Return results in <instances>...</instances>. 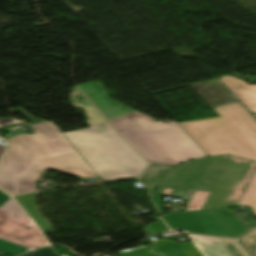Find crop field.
<instances>
[{"label":"crop field","mask_w":256,"mask_h":256,"mask_svg":"<svg viewBox=\"0 0 256 256\" xmlns=\"http://www.w3.org/2000/svg\"><path fill=\"white\" fill-rule=\"evenodd\" d=\"M79 87L151 163L175 166L207 156L175 121L155 122L109 99L99 82ZM130 112L135 114L129 115Z\"/></svg>","instance_id":"obj_1"},{"label":"crop field","mask_w":256,"mask_h":256,"mask_svg":"<svg viewBox=\"0 0 256 256\" xmlns=\"http://www.w3.org/2000/svg\"><path fill=\"white\" fill-rule=\"evenodd\" d=\"M7 141L0 188L11 195L36 191L35 182L50 168L79 177L96 175L67 138L35 143L24 134Z\"/></svg>","instance_id":"obj_2"},{"label":"crop field","mask_w":256,"mask_h":256,"mask_svg":"<svg viewBox=\"0 0 256 256\" xmlns=\"http://www.w3.org/2000/svg\"><path fill=\"white\" fill-rule=\"evenodd\" d=\"M71 102L86 110L91 128L64 134L96 174L106 183L138 178L148 162L118 134L77 86L72 91Z\"/></svg>","instance_id":"obj_3"},{"label":"crop field","mask_w":256,"mask_h":256,"mask_svg":"<svg viewBox=\"0 0 256 256\" xmlns=\"http://www.w3.org/2000/svg\"><path fill=\"white\" fill-rule=\"evenodd\" d=\"M221 117L178 123L208 156L256 162V121L239 103L214 108Z\"/></svg>","instance_id":"obj_4"},{"label":"crop field","mask_w":256,"mask_h":256,"mask_svg":"<svg viewBox=\"0 0 256 256\" xmlns=\"http://www.w3.org/2000/svg\"><path fill=\"white\" fill-rule=\"evenodd\" d=\"M255 166L230 156L211 157L182 213L233 207Z\"/></svg>","instance_id":"obj_5"},{"label":"crop field","mask_w":256,"mask_h":256,"mask_svg":"<svg viewBox=\"0 0 256 256\" xmlns=\"http://www.w3.org/2000/svg\"><path fill=\"white\" fill-rule=\"evenodd\" d=\"M188 237L192 243L179 244L173 239H163L155 245L165 256H246L231 239L192 234Z\"/></svg>","instance_id":"obj_6"},{"label":"crop field","mask_w":256,"mask_h":256,"mask_svg":"<svg viewBox=\"0 0 256 256\" xmlns=\"http://www.w3.org/2000/svg\"><path fill=\"white\" fill-rule=\"evenodd\" d=\"M0 237L29 248L48 244L13 199L0 208Z\"/></svg>","instance_id":"obj_7"},{"label":"crop field","mask_w":256,"mask_h":256,"mask_svg":"<svg viewBox=\"0 0 256 256\" xmlns=\"http://www.w3.org/2000/svg\"><path fill=\"white\" fill-rule=\"evenodd\" d=\"M210 157L188 161L176 166L163 184L160 193L189 199Z\"/></svg>","instance_id":"obj_8"},{"label":"crop field","mask_w":256,"mask_h":256,"mask_svg":"<svg viewBox=\"0 0 256 256\" xmlns=\"http://www.w3.org/2000/svg\"><path fill=\"white\" fill-rule=\"evenodd\" d=\"M163 218L172 229L181 228L189 232L234 237L214 210L169 215Z\"/></svg>","instance_id":"obj_9"},{"label":"crop field","mask_w":256,"mask_h":256,"mask_svg":"<svg viewBox=\"0 0 256 256\" xmlns=\"http://www.w3.org/2000/svg\"><path fill=\"white\" fill-rule=\"evenodd\" d=\"M220 80L252 113H256V85H248L245 81L232 76H224Z\"/></svg>","instance_id":"obj_10"},{"label":"crop field","mask_w":256,"mask_h":256,"mask_svg":"<svg viewBox=\"0 0 256 256\" xmlns=\"http://www.w3.org/2000/svg\"><path fill=\"white\" fill-rule=\"evenodd\" d=\"M16 198L44 233L51 232V224L37 211L38 207L34 203L35 197L33 194L18 196Z\"/></svg>","instance_id":"obj_11"},{"label":"crop field","mask_w":256,"mask_h":256,"mask_svg":"<svg viewBox=\"0 0 256 256\" xmlns=\"http://www.w3.org/2000/svg\"><path fill=\"white\" fill-rule=\"evenodd\" d=\"M36 134L32 137L35 142L64 138V134L50 121L31 126Z\"/></svg>","instance_id":"obj_12"},{"label":"crop field","mask_w":256,"mask_h":256,"mask_svg":"<svg viewBox=\"0 0 256 256\" xmlns=\"http://www.w3.org/2000/svg\"><path fill=\"white\" fill-rule=\"evenodd\" d=\"M236 238L240 237L249 228L239 221L227 208L215 210Z\"/></svg>","instance_id":"obj_13"},{"label":"crop field","mask_w":256,"mask_h":256,"mask_svg":"<svg viewBox=\"0 0 256 256\" xmlns=\"http://www.w3.org/2000/svg\"><path fill=\"white\" fill-rule=\"evenodd\" d=\"M172 169L171 166L151 164L140 180L161 186Z\"/></svg>","instance_id":"obj_14"},{"label":"crop field","mask_w":256,"mask_h":256,"mask_svg":"<svg viewBox=\"0 0 256 256\" xmlns=\"http://www.w3.org/2000/svg\"><path fill=\"white\" fill-rule=\"evenodd\" d=\"M238 205H243L253 209L256 215V172L241 197Z\"/></svg>","instance_id":"obj_15"},{"label":"crop field","mask_w":256,"mask_h":256,"mask_svg":"<svg viewBox=\"0 0 256 256\" xmlns=\"http://www.w3.org/2000/svg\"><path fill=\"white\" fill-rule=\"evenodd\" d=\"M252 256H256V229L240 239Z\"/></svg>","instance_id":"obj_16"},{"label":"crop field","mask_w":256,"mask_h":256,"mask_svg":"<svg viewBox=\"0 0 256 256\" xmlns=\"http://www.w3.org/2000/svg\"><path fill=\"white\" fill-rule=\"evenodd\" d=\"M29 249L20 247V246H16L4 241L0 240V252L6 253L8 255L14 256V255H18L21 254L23 252L28 251Z\"/></svg>","instance_id":"obj_17"},{"label":"crop field","mask_w":256,"mask_h":256,"mask_svg":"<svg viewBox=\"0 0 256 256\" xmlns=\"http://www.w3.org/2000/svg\"><path fill=\"white\" fill-rule=\"evenodd\" d=\"M21 256H60V255L54 253L49 247H47V248L31 251Z\"/></svg>","instance_id":"obj_18"},{"label":"crop field","mask_w":256,"mask_h":256,"mask_svg":"<svg viewBox=\"0 0 256 256\" xmlns=\"http://www.w3.org/2000/svg\"><path fill=\"white\" fill-rule=\"evenodd\" d=\"M4 148H5V146H0V157L2 155ZM10 199H11L10 196H8L4 192L0 191V207L3 206Z\"/></svg>","instance_id":"obj_19"},{"label":"crop field","mask_w":256,"mask_h":256,"mask_svg":"<svg viewBox=\"0 0 256 256\" xmlns=\"http://www.w3.org/2000/svg\"><path fill=\"white\" fill-rule=\"evenodd\" d=\"M17 111H19L23 116H25L29 121H31L33 124L43 122V120L36 119L32 116H30L26 111H24L21 107L16 108Z\"/></svg>","instance_id":"obj_20"},{"label":"crop field","mask_w":256,"mask_h":256,"mask_svg":"<svg viewBox=\"0 0 256 256\" xmlns=\"http://www.w3.org/2000/svg\"><path fill=\"white\" fill-rule=\"evenodd\" d=\"M155 187H159V186H156V185L148 183L146 188H148V189H155Z\"/></svg>","instance_id":"obj_21"},{"label":"crop field","mask_w":256,"mask_h":256,"mask_svg":"<svg viewBox=\"0 0 256 256\" xmlns=\"http://www.w3.org/2000/svg\"><path fill=\"white\" fill-rule=\"evenodd\" d=\"M148 234L153 233L151 229L146 230Z\"/></svg>","instance_id":"obj_22"},{"label":"crop field","mask_w":256,"mask_h":256,"mask_svg":"<svg viewBox=\"0 0 256 256\" xmlns=\"http://www.w3.org/2000/svg\"><path fill=\"white\" fill-rule=\"evenodd\" d=\"M54 252H56L57 253V251L54 249V247L53 246H51L50 247Z\"/></svg>","instance_id":"obj_23"},{"label":"crop field","mask_w":256,"mask_h":256,"mask_svg":"<svg viewBox=\"0 0 256 256\" xmlns=\"http://www.w3.org/2000/svg\"><path fill=\"white\" fill-rule=\"evenodd\" d=\"M255 115V117H256V114H254Z\"/></svg>","instance_id":"obj_24"},{"label":"crop field","mask_w":256,"mask_h":256,"mask_svg":"<svg viewBox=\"0 0 256 256\" xmlns=\"http://www.w3.org/2000/svg\"><path fill=\"white\" fill-rule=\"evenodd\" d=\"M63 256H67V255H63Z\"/></svg>","instance_id":"obj_25"}]
</instances>
